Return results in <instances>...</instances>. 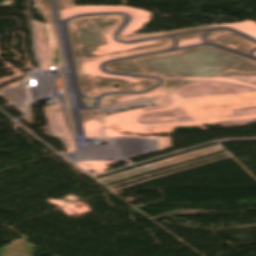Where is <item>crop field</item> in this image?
<instances>
[{"mask_svg": "<svg viewBox=\"0 0 256 256\" xmlns=\"http://www.w3.org/2000/svg\"><path fill=\"white\" fill-rule=\"evenodd\" d=\"M35 245L25 239L13 240L10 245L0 248V256H33Z\"/></svg>", "mask_w": 256, "mask_h": 256, "instance_id": "1", "label": "crop field"}]
</instances>
